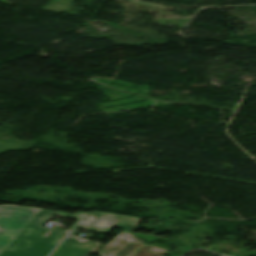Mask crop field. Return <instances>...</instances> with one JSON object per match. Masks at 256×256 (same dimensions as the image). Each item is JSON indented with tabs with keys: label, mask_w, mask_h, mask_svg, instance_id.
<instances>
[{
	"label": "crop field",
	"mask_w": 256,
	"mask_h": 256,
	"mask_svg": "<svg viewBox=\"0 0 256 256\" xmlns=\"http://www.w3.org/2000/svg\"><path fill=\"white\" fill-rule=\"evenodd\" d=\"M55 213L79 219L70 229L72 232L51 256H87L97 243L80 242L74 236L79 227L105 232L111 227L134 231L139 219L96 212H52L41 209L33 220L14 238L0 256H48L69 230L42 227Z\"/></svg>",
	"instance_id": "crop-field-1"
},
{
	"label": "crop field",
	"mask_w": 256,
	"mask_h": 256,
	"mask_svg": "<svg viewBox=\"0 0 256 256\" xmlns=\"http://www.w3.org/2000/svg\"><path fill=\"white\" fill-rule=\"evenodd\" d=\"M39 210L15 205L0 206V253Z\"/></svg>",
	"instance_id": "crop-field-2"
},
{
	"label": "crop field",
	"mask_w": 256,
	"mask_h": 256,
	"mask_svg": "<svg viewBox=\"0 0 256 256\" xmlns=\"http://www.w3.org/2000/svg\"><path fill=\"white\" fill-rule=\"evenodd\" d=\"M145 243L129 232L122 231L107 245L99 244L92 253H98L99 256H132Z\"/></svg>",
	"instance_id": "crop-field-3"
},
{
	"label": "crop field",
	"mask_w": 256,
	"mask_h": 256,
	"mask_svg": "<svg viewBox=\"0 0 256 256\" xmlns=\"http://www.w3.org/2000/svg\"><path fill=\"white\" fill-rule=\"evenodd\" d=\"M167 251L161 250L151 244H147L134 256H163Z\"/></svg>",
	"instance_id": "crop-field-4"
}]
</instances>
